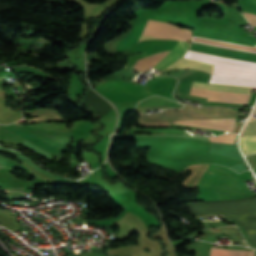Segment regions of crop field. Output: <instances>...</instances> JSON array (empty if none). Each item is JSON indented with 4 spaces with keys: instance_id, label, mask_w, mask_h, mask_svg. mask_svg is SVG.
I'll use <instances>...</instances> for the list:
<instances>
[{
    "instance_id": "crop-field-1",
    "label": "crop field",
    "mask_w": 256,
    "mask_h": 256,
    "mask_svg": "<svg viewBox=\"0 0 256 256\" xmlns=\"http://www.w3.org/2000/svg\"><path fill=\"white\" fill-rule=\"evenodd\" d=\"M192 41L256 54V45L234 44L195 36ZM184 57L215 65L209 83L256 87V64L254 63L215 57L189 50Z\"/></svg>"
},
{
    "instance_id": "crop-field-2",
    "label": "crop field",
    "mask_w": 256,
    "mask_h": 256,
    "mask_svg": "<svg viewBox=\"0 0 256 256\" xmlns=\"http://www.w3.org/2000/svg\"><path fill=\"white\" fill-rule=\"evenodd\" d=\"M194 216L222 214L242 225L251 242L256 243V197L224 202L189 203Z\"/></svg>"
},
{
    "instance_id": "crop-field-3",
    "label": "crop field",
    "mask_w": 256,
    "mask_h": 256,
    "mask_svg": "<svg viewBox=\"0 0 256 256\" xmlns=\"http://www.w3.org/2000/svg\"><path fill=\"white\" fill-rule=\"evenodd\" d=\"M192 88L246 94V95H250L253 89V88H245V87L204 84L199 82H193ZM196 89H191V90H196ZM196 91H204V90H196ZM206 92H210V91H206ZM191 94L209 98V100L211 101H219V102H227V103L247 104L249 99V96H246V95L229 94V93H221V92H213V91H211V93L191 91Z\"/></svg>"
},
{
    "instance_id": "crop-field-4",
    "label": "crop field",
    "mask_w": 256,
    "mask_h": 256,
    "mask_svg": "<svg viewBox=\"0 0 256 256\" xmlns=\"http://www.w3.org/2000/svg\"><path fill=\"white\" fill-rule=\"evenodd\" d=\"M149 38H170V39H180L185 40V34L175 32L169 28L148 24L146 23L142 35L140 36L139 40H145Z\"/></svg>"
},
{
    "instance_id": "crop-field-5",
    "label": "crop field",
    "mask_w": 256,
    "mask_h": 256,
    "mask_svg": "<svg viewBox=\"0 0 256 256\" xmlns=\"http://www.w3.org/2000/svg\"><path fill=\"white\" fill-rule=\"evenodd\" d=\"M256 135V119L248 121L241 136ZM240 147L244 154L256 153V137H240Z\"/></svg>"
},
{
    "instance_id": "crop-field-6",
    "label": "crop field",
    "mask_w": 256,
    "mask_h": 256,
    "mask_svg": "<svg viewBox=\"0 0 256 256\" xmlns=\"http://www.w3.org/2000/svg\"><path fill=\"white\" fill-rule=\"evenodd\" d=\"M188 44L178 41L175 48L153 68L164 69L176 62L186 51Z\"/></svg>"
},
{
    "instance_id": "crop-field-7",
    "label": "crop field",
    "mask_w": 256,
    "mask_h": 256,
    "mask_svg": "<svg viewBox=\"0 0 256 256\" xmlns=\"http://www.w3.org/2000/svg\"><path fill=\"white\" fill-rule=\"evenodd\" d=\"M196 68L211 73L214 66L182 58L170 68Z\"/></svg>"
},
{
    "instance_id": "crop-field-8",
    "label": "crop field",
    "mask_w": 256,
    "mask_h": 256,
    "mask_svg": "<svg viewBox=\"0 0 256 256\" xmlns=\"http://www.w3.org/2000/svg\"><path fill=\"white\" fill-rule=\"evenodd\" d=\"M211 256H253V251L213 248L211 251Z\"/></svg>"
},
{
    "instance_id": "crop-field-9",
    "label": "crop field",
    "mask_w": 256,
    "mask_h": 256,
    "mask_svg": "<svg viewBox=\"0 0 256 256\" xmlns=\"http://www.w3.org/2000/svg\"><path fill=\"white\" fill-rule=\"evenodd\" d=\"M235 136L233 134H224L217 137H209L211 142H219V143H234Z\"/></svg>"
},
{
    "instance_id": "crop-field-10",
    "label": "crop field",
    "mask_w": 256,
    "mask_h": 256,
    "mask_svg": "<svg viewBox=\"0 0 256 256\" xmlns=\"http://www.w3.org/2000/svg\"><path fill=\"white\" fill-rule=\"evenodd\" d=\"M244 16L246 17L248 22L252 25V27H256V17L245 15V14Z\"/></svg>"
},
{
    "instance_id": "crop-field-11",
    "label": "crop field",
    "mask_w": 256,
    "mask_h": 256,
    "mask_svg": "<svg viewBox=\"0 0 256 256\" xmlns=\"http://www.w3.org/2000/svg\"><path fill=\"white\" fill-rule=\"evenodd\" d=\"M253 113H256V107H255V109H254Z\"/></svg>"
}]
</instances>
